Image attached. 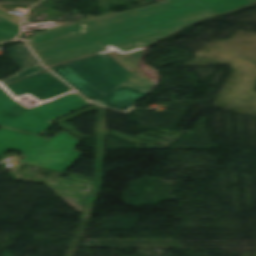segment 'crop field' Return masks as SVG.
<instances>
[{"mask_svg": "<svg viewBox=\"0 0 256 256\" xmlns=\"http://www.w3.org/2000/svg\"><path fill=\"white\" fill-rule=\"evenodd\" d=\"M207 7L202 0H164L54 28L27 40L50 67L113 49L125 53L145 47L188 24L179 15Z\"/></svg>", "mask_w": 256, "mask_h": 256, "instance_id": "obj_1", "label": "crop field"}, {"mask_svg": "<svg viewBox=\"0 0 256 256\" xmlns=\"http://www.w3.org/2000/svg\"><path fill=\"white\" fill-rule=\"evenodd\" d=\"M90 104L72 92L29 108L0 84V125L41 135L53 125L51 121Z\"/></svg>", "mask_w": 256, "mask_h": 256, "instance_id": "obj_2", "label": "crop field"}, {"mask_svg": "<svg viewBox=\"0 0 256 256\" xmlns=\"http://www.w3.org/2000/svg\"><path fill=\"white\" fill-rule=\"evenodd\" d=\"M66 65L104 95L120 87L133 75L107 53Z\"/></svg>", "mask_w": 256, "mask_h": 256, "instance_id": "obj_3", "label": "crop field"}, {"mask_svg": "<svg viewBox=\"0 0 256 256\" xmlns=\"http://www.w3.org/2000/svg\"><path fill=\"white\" fill-rule=\"evenodd\" d=\"M51 69H53L57 74H59L62 78H64L68 83H70L73 87H75L92 102L101 104L98 101L104 100L107 105H101L119 111L129 110L138 101L148 95V93L146 92H142L125 86L104 96L65 64L51 67Z\"/></svg>", "mask_w": 256, "mask_h": 256, "instance_id": "obj_4", "label": "crop field"}, {"mask_svg": "<svg viewBox=\"0 0 256 256\" xmlns=\"http://www.w3.org/2000/svg\"><path fill=\"white\" fill-rule=\"evenodd\" d=\"M81 141L62 131L52 143L58 145L54 150L37 147L22 162L63 172L82 153L73 150Z\"/></svg>", "mask_w": 256, "mask_h": 256, "instance_id": "obj_5", "label": "crop field"}, {"mask_svg": "<svg viewBox=\"0 0 256 256\" xmlns=\"http://www.w3.org/2000/svg\"><path fill=\"white\" fill-rule=\"evenodd\" d=\"M16 98L26 94L42 102L72 91L49 71L5 86Z\"/></svg>", "mask_w": 256, "mask_h": 256, "instance_id": "obj_6", "label": "crop field"}, {"mask_svg": "<svg viewBox=\"0 0 256 256\" xmlns=\"http://www.w3.org/2000/svg\"><path fill=\"white\" fill-rule=\"evenodd\" d=\"M108 54L134 74L122 86L127 85L148 92L156 83L158 77L156 70L132 52L122 54L113 50L108 52Z\"/></svg>", "mask_w": 256, "mask_h": 256, "instance_id": "obj_7", "label": "crop field"}, {"mask_svg": "<svg viewBox=\"0 0 256 256\" xmlns=\"http://www.w3.org/2000/svg\"><path fill=\"white\" fill-rule=\"evenodd\" d=\"M44 137L27 135L19 131L2 127L0 129V156L8 150L20 151L24 156L32 150Z\"/></svg>", "mask_w": 256, "mask_h": 256, "instance_id": "obj_8", "label": "crop field"}, {"mask_svg": "<svg viewBox=\"0 0 256 256\" xmlns=\"http://www.w3.org/2000/svg\"><path fill=\"white\" fill-rule=\"evenodd\" d=\"M7 51L21 69H25L39 63L26 44L9 48Z\"/></svg>", "mask_w": 256, "mask_h": 256, "instance_id": "obj_9", "label": "crop field"}, {"mask_svg": "<svg viewBox=\"0 0 256 256\" xmlns=\"http://www.w3.org/2000/svg\"><path fill=\"white\" fill-rule=\"evenodd\" d=\"M219 14L225 13L252 3L256 0H203Z\"/></svg>", "mask_w": 256, "mask_h": 256, "instance_id": "obj_10", "label": "crop field"}, {"mask_svg": "<svg viewBox=\"0 0 256 256\" xmlns=\"http://www.w3.org/2000/svg\"><path fill=\"white\" fill-rule=\"evenodd\" d=\"M218 13L216 11H214L212 8H207V9H203V10H199L196 12H192L189 14H185V15H181L180 17L183 18L185 21H187L189 24H192L194 22L200 21L204 18L210 17V16H214L217 15ZM182 28V27H181ZM181 28L172 31L166 35H164L165 37L173 32H176L178 30H180Z\"/></svg>", "mask_w": 256, "mask_h": 256, "instance_id": "obj_11", "label": "crop field"}, {"mask_svg": "<svg viewBox=\"0 0 256 256\" xmlns=\"http://www.w3.org/2000/svg\"><path fill=\"white\" fill-rule=\"evenodd\" d=\"M42 70H45V69L40 64H38L36 66L30 67L28 69H25V70L17 73L16 75H14L12 77H9V78H6L4 80H1L0 82H1L2 85H4V84H7L9 82L18 80L20 78L26 77L28 75L37 73V72L42 71Z\"/></svg>", "mask_w": 256, "mask_h": 256, "instance_id": "obj_12", "label": "crop field"}, {"mask_svg": "<svg viewBox=\"0 0 256 256\" xmlns=\"http://www.w3.org/2000/svg\"><path fill=\"white\" fill-rule=\"evenodd\" d=\"M0 11H2V12H4V13H6L7 15L11 16L13 19H15V20H16L17 22H19L20 24H21L22 21H23V19H21V18L15 16V15H13V14H11V13H8V12L2 10V9H0Z\"/></svg>", "mask_w": 256, "mask_h": 256, "instance_id": "obj_13", "label": "crop field"}]
</instances>
